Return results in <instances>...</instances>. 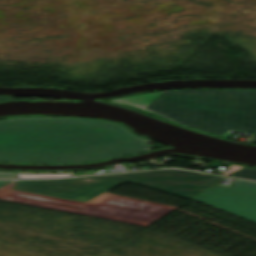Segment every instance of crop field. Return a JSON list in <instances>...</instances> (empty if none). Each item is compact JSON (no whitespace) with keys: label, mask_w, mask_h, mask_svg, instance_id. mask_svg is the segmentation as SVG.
<instances>
[{"label":"crop field","mask_w":256,"mask_h":256,"mask_svg":"<svg viewBox=\"0 0 256 256\" xmlns=\"http://www.w3.org/2000/svg\"><path fill=\"white\" fill-rule=\"evenodd\" d=\"M148 139L108 121L24 117L0 121V161L75 164L149 151Z\"/></svg>","instance_id":"1"},{"label":"crop field","mask_w":256,"mask_h":256,"mask_svg":"<svg viewBox=\"0 0 256 256\" xmlns=\"http://www.w3.org/2000/svg\"><path fill=\"white\" fill-rule=\"evenodd\" d=\"M165 117L180 125L226 137L252 132L256 142V91H163L112 100Z\"/></svg>","instance_id":"2"},{"label":"crop field","mask_w":256,"mask_h":256,"mask_svg":"<svg viewBox=\"0 0 256 256\" xmlns=\"http://www.w3.org/2000/svg\"><path fill=\"white\" fill-rule=\"evenodd\" d=\"M223 177L184 170H156L66 180L18 181L15 190L85 202L123 182H137L193 198Z\"/></svg>","instance_id":"3"},{"label":"crop field","mask_w":256,"mask_h":256,"mask_svg":"<svg viewBox=\"0 0 256 256\" xmlns=\"http://www.w3.org/2000/svg\"><path fill=\"white\" fill-rule=\"evenodd\" d=\"M4 199L143 226L175 208L107 192L85 203L15 190Z\"/></svg>","instance_id":"4"},{"label":"crop field","mask_w":256,"mask_h":256,"mask_svg":"<svg viewBox=\"0 0 256 256\" xmlns=\"http://www.w3.org/2000/svg\"><path fill=\"white\" fill-rule=\"evenodd\" d=\"M193 199L256 223V183L254 182L237 180L230 189L213 186Z\"/></svg>","instance_id":"5"},{"label":"crop field","mask_w":256,"mask_h":256,"mask_svg":"<svg viewBox=\"0 0 256 256\" xmlns=\"http://www.w3.org/2000/svg\"><path fill=\"white\" fill-rule=\"evenodd\" d=\"M233 177L256 180V169L245 168L239 171L238 173L234 174Z\"/></svg>","instance_id":"6"},{"label":"crop field","mask_w":256,"mask_h":256,"mask_svg":"<svg viewBox=\"0 0 256 256\" xmlns=\"http://www.w3.org/2000/svg\"><path fill=\"white\" fill-rule=\"evenodd\" d=\"M71 174H59V175H18V178H51V177H68Z\"/></svg>","instance_id":"7"},{"label":"crop field","mask_w":256,"mask_h":256,"mask_svg":"<svg viewBox=\"0 0 256 256\" xmlns=\"http://www.w3.org/2000/svg\"><path fill=\"white\" fill-rule=\"evenodd\" d=\"M14 178V173H3L0 172V179Z\"/></svg>","instance_id":"8"},{"label":"crop field","mask_w":256,"mask_h":256,"mask_svg":"<svg viewBox=\"0 0 256 256\" xmlns=\"http://www.w3.org/2000/svg\"><path fill=\"white\" fill-rule=\"evenodd\" d=\"M14 97H0V100H4V99H13Z\"/></svg>","instance_id":"9"},{"label":"crop field","mask_w":256,"mask_h":256,"mask_svg":"<svg viewBox=\"0 0 256 256\" xmlns=\"http://www.w3.org/2000/svg\"><path fill=\"white\" fill-rule=\"evenodd\" d=\"M9 181H0V187L3 186L4 184H6Z\"/></svg>","instance_id":"10"}]
</instances>
